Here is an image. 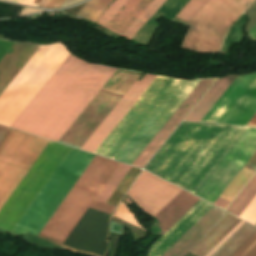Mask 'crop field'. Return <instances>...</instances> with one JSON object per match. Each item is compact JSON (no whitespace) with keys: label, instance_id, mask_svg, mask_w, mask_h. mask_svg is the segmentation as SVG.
I'll list each match as a JSON object with an SVG mask.
<instances>
[{"label":"crop field","instance_id":"8a807250","mask_svg":"<svg viewBox=\"0 0 256 256\" xmlns=\"http://www.w3.org/2000/svg\"><path fill=\"white\" fill-rule=\"evenodd\" d=\"M70 56L61 44L41 46L1 94L0 124L12 127ZM72 56L13 128L57 141L116 70Z\"/></svg>","mask_w":256,"mask_h":256},{"label":"crop field","instance_id":"ac0d7876","mask_svg":"<svg viewBox=\"0 0 256 256\" xmlns=\"http://www.w3.org/2000/svg\"><path fill=\"white\" fill-rule=\"evenodd\" d=\"M93 158L71 148L12 232L38 236ZM118 165L95 156L39 237L61 246Z\"/></svg>","mask_w":256,"mask_h":256},{"label":"crop field","instance_id":"34b2d1b8","mask_svg":"<svg viewBox=\"0 0 256 256\" xmlns=\"http://www.w3.org/2000/svg\"><path fill=\"white\" fill-rule=\"evenodd\" d=\"M48 143L13 129L5 137L0 144V210ZM69 150L50 141L0 211L1 228L11 231Z\"/></svg>","mask_w":256,"mask_h":256},{"label":"crop field","instance_id":"412701ff","mask_svg":"<svg viewBox=\"0 0 256 256\" xmlns=\"http://www.w3.org/2000/svg\"><path fill=\"white\" fill-rule=\"evenodd\" d=\"M246 129L182 122L145 169L194 194Z\"/></svg>","mask_w":256,"mask_h":256},{"label":"crop field","instance_id":"f4fd0767","mask_svg":"<svg viewBox=\"0 0 256 256\" xmlns=\"http://www.w3.org/2000/svg\"><path fill=\"white\" fill-rule=\"evenodd\" d=\"M181 189L145 172L128 190L129 195L148 214L156 216ZM199 198L181 191L155 218L164 234Z\"/></svg>","mask_w":256,"mask_h":256},{"label":"crop field","instance_id":"dd49c442","mask_svg":"<svg viewBox=\"0 0 256 256\" xmlns=\"http://www.w3.org/2000/svg\"><path fill=\"white\" fill-rule=\"evenodd\" d=\"M248 1L208 0L187 24L190 26V29L183 41L182 47L201 53H209L217 34ZM252 1L250 0L218 34L210 53H217L219 51L227 29Z\"/></svg>","mask_w":256,"mask_h":256},{"label":"crop field","instance_id":"e52e79f7","mask_svg":"<svg viewBox=\"0 0 256 256\" xmlns=\"http://www.w3.org/2000/svg\"><path fill=\"white\" fill-rule=\"evenodd\" d=\"M140 74L118 70L58 142L80 148Z\"/></svg>","mask_w":256,"mask_h":256},{"label":"crop field","instance_id":"d8731c3e","mask_svg":"<svg viewBox=\"0 0 256 256\" xmlns=\"http://www.w3.org/2000/svg\"><path fill=\"white\" fill-rule=\"evenodd\" d=\"M177 82L157 76L94 154L114 159Z\"/></svg>","mask_w":256,"mask_h":256},{"label":"crop field","instance_id":"5a996713","mask_svg":"<svg viewBox=\"0 0 256 256\" xmlns=\"http://www.w3.org/2000/svg\"><path fill=\"white\" fill-rule=\"evenodd\" d=\"M256 152V129L248 128L194 195L214 201Z\"/></svg>","mask_w":256,"mask_h":256},{"label":"crop field","instance_id":"3316defc","mask_svg":"<svg viewBox=\"0 0 256 256\" xmlns=\"http://www.w3.org/2000/svg\"><path fill=\"white\" fill-rule=\"evenodd\" d=\"M199 81L200 80L186 82L180 80L132 137V139L127 143V145L122 149V151L117 155L115 160L131 164Z\"/></svg>","mask_w":256,"mask_h":256},{"label":"crop field","instance_id":"28ad6ade","mask_svg":"<svg viewBox=\"0 0 256 256\" xmlns=\"http://www.w3.org/2000/svg\"><path fill=\"white\" fill-rule=\"evenodd\" d=\"M166 0H115L96 23L131 39Z\"/></svg>","mask_w":256,"mask_h":256},{"label":"crop field","instance_id":"d1516ede","mask_svg":"<svg viewBox=\"0 0 256 256\" xmlns=\"http://www.w3.org/2000/svg\"><path fill=\"white\" fill-rule=\"evenodd\" d=\"M110 214L88 208L63 245L78 251L105 256Z\"/></svg>","mask_w":256,"mask_h":256},{"label":"crop field","instance_id":"22f410ed","mask_svg":"<svg viewBox=\"0 0 256 256\" xmlns=\"http://www.w3.org/2000/svg\"><path fill=\"white\" fill-rule=\"evenodd\" d=\"M155 77L156 76L154 75L146 74L139 83L135 82L103 122L98 126V128L93 132V134L88 138V140L83 144L81 149L93 153Z\"/></svg>","mask_w":256,"mask_h":256},{"label":"crop field","instance_id":"cbeb9de0","mask_svg":"<svg viewBox=\"0 0 256 256\" xmlns=\"http://www.w3.org/2000/svg\"><path fill=\"white\" fill-rule=\"evenodd\" d=\"M215 80H201L132 165L142 168Z\"/></svg>","mask_w":256,"mask_h":256},{"label":"crop field","instance_id":"5142ce71","mask_svg":"<svg viewBox=\"0 0 256 256\" xmlns=\"http://www.w3.org/2000/svg\"><path fill=\"white\" fill-rule=\"evenodd\" d=\"M15 42L0 40V60ZM40 46L16 42L0 61V94L38 50Z\"/></svg>","mask_w":256,"mask_h":256},{"label":"crop field","instance_id":"d9b57169","mask_svg":"<svg viewBox=\"0 0 256 256\" xmlns=\"http://www.w3.org/2000/svg\"><path fill=\"white\" fill-rule=\"evenodd\" d=\"M227 214L213 206L162 256H185Z\"/></svg>","mask_w":256,"mask_h":256},{"label":"crop field","instance_id":"733c2abd","mask_svg":"<svg viewBox=\"0 0 256 256\" xmlns=\"http://www.w3.org/2000/svg\"><path fill=\"white\" fill-rule=\"evenodd\" d=\"M213 205L199 200L182 218H180L151 247L149 256H161L167 251L197 220H199Z\"/></svg>","mask_w":256,"mask_h":256},{"label":"crop field","instance_id":"4a817a6b","mask_svg":"<svg viewBox=\"0 0 256 256\" xmlns=\"http://www.w3.org/2000/svg\"><path fill=\"white\" fill-rule=\"evenodd\" d=\"M256 76V75H255ZM251 82V81H250ZM256 113V77L217 123L246 125Z\"/></svg>","mask_w":256,"mask_h":256},{"label":"crop field","instance_id":"bc2a9ffb","mask_svg":"<svg viewBox=\"0 0 256 256\" xmlns=\"http://www.w3.org/2000/svg\"><path fill=\"white\" fill-rule=\"evenodd\" d=\"M236 77L218 79L185 120L200 121Z\"/></svg>","mask_w":256,"mask_h":256},{"label":"crop field","instance_id":"214f88e0","mask_svg":"<svg viewBox=\"0 0 256 256\" xmlns=\"http://www.w3.org/2000/svg\"><path fill=\"white\" fill-rule=\"evenodd\" d=\"M240 219L228 214L212 229L190 252L204 256L219 240H221Z\"/></svg>","mask_w":256,"mask_h":256},{"label":"crop field","instance_id":"92a150f3","mask_svg":"<svg viewBox=\"0 0 256 256\" xmlns=\"http://www.w3.org/2000/svg\"><path fill=\"white\" fill-rule=\"evenodd\" d=\"M256 231V227L244 223L214 254L211 256H229L232 254L248 237Z\"/></svg>","mask_w":256,"mask_h":256},{"label":"crop field","instance_id":"dafd665d","mask_svg":"<svg viewBox=\"0 0 256 256\" xmlns=\"http://www.w3.org/2000/svg\"><path fill=\"white\" fill-rule=\"evenodd\" d=\"M256 196V174L251 178L247 185L237 195L233 202L228 206L226 211L236 215H239L249 205V203Z\"/></svg>","mask_w":256,"mask_h":256},{"label":"crop field","instance_id":"00972430","mask_svg":"<svg viewBox=\"0 0 256 256\" xmlns=\"http://www.w3.org/2000/svg\"><path fill=\"white\" fill-rule=\"evenodd\" d=\"M255 75L256 73L245 75L244 78L239 82V84L234 88V90L229 94V96L224 100V102L219 106V108L214 112V114L209 118L207 122L216 123L218 119L223 115V113L234 102V100L245 89V87L250 83V81L255 77Z\"/></svg>","mask_w":256,"mask_h":256},{"label":"crop field","instance_id":"a9b5d70f","mask_svg":"<svg viewBox=\"0 0 256 256\" xmlns=\"http://www.w3.org/2000/svg\"><path fill=\"white\" fill-rule=\"evenodd\" d=\"M255 171L243 168L239 174L234 178L230 185L221 194L220 198L225 199L229 202L238 194V192L243 188V186L248 182V180L253 176Z\"/></svg>","mask_w":256,"mask_h":256},{"label":"crop field","instance_id":"4177f3b9","mask_svg":"<svg viewBox=\"0 0 256 256\" xmlns=\"http://www.w3.org/2000/svg\"><path fill=\"white\" fill-rule=\"evenodd\" d=\"M128 169L129 166L120 163V165L110 177L99 195L96 197V200L106 203V201L108 200V198L110 197L116 186L119 184Z\"/></svg>","mask_w":256,"mask_h":256},{"label":"crop field","instance_id":"730fd06b","mask_svg":"<svg viewBox=\"0 0 256 256\" xmlns=\"http://www.w3.org/2000/svg\"><path fill=\"white\" fill-rule=\"evenodd\" d=\"M113 0H90L78 11L77 16L96 21Z\"/></svg>","mask_w":256,"mask_h":256},{"label":"crop field","instance_id":"eef30255","mask_svg":"<svg viewBox=\"0 0 256 256\" xmlns=\"http://www.w3.org/2000/svg\"><path fill=\"white\" fill-rule=\"evenodd\" d=\"M136 168V167H135ZM130 167L120 184L117 186L109 200L107 201V204L115 205L117 206L119 200L124 195V193L127 191L129 186L132 184L134 179L137 177V175L140 173L141 170L135 169Z\"/></svg>","mask_w":256,"mask_h":256},{"label":"crop field","instance_id":"ae1a2a85","mask_svg":"<svg viewBox=\"0 0 256 256\" xmlns=\"http://www.w3.org/2000/svg\"><path fill=\"white\" fill-rule=\"evenodd\" d=\"M207 0H190L176 15V17L189 21ZM174 17V20L187 23V21Z\"/></svg>","mask_w":256,"mask_h":256},{"label":"crop field","instance_id":"d3111659","mask_svg":"<svg viewBox=\"0 0 256 256\" xmlns=\"http://www.w3.org/2000/svg\"><path fill=\"white\" fill-rule=\"evenodd\" d=\"M231 256H256V232Z\"/></svg>","mask_w":256,"mask_h":256},{"label":"crop field","instance_id":"750c4746","mask_svg":"<svg viewBox=\"0 0 256 256\" xmlns=\"http://www.w3.org/2000/svg\"><path fill=\"white\" fill-rule=\"evenodd\" d=\"M113 216V215H112ZM114 217L126 220L132 224H134L135 226L141 228V226L137 223L135 217L133 216V214L129 211V209L126 207L125 204L121 203L119 204Z\"/></svg>","mask_w":256,"mask_h":256},{"label":"crop field","instance_id":"bd1437ed","mask_svg":"<svg viewBox=\"0 0 256 256\" xmlns=\"http://www.w3.org/2000/svg\"><path fill=\"white\" fill-rule=\"evenodd\" d=\"M244 75L238 76L236 80L231 84V86L225 91V93L220 97V99L214 104V106L208 111V113L203 117L201 121L206 122L207 119L212 115V113L217 109V107L222 103V101L227 97V95L232 91V89L237 85V83L242 79Z\"/></svg>","mask_w":256,"mask_h":256},{"label":"crop field","instance_id":"1d83c4d3","mask_svg":"<svg viewBox=\"0 0 256 256\" xmlns=\"http://www.w3.org/2000/svg\"><path fill=\"white\" fill-rule=\"evenodd\" d=\"M240 218L254 225L256 224V197L250 203V205L245 209V211L241 214Z\"/></svg>","mask_w":256,"mask_h":256},{"label":"crop field","instance_id":"120bbe31","mask_svg":"<svg viewBox=\"0 0 256 256\" xmlns=\"http://www.w3.org/2000/svg\"><path fill=\"white\" fill-rule=\"evenodd\" d=\"M246 15L250 17V23L248 25L247 31H249L256 25V0L252 5L245 11Z\"/></svg>","mask_w":256,"mask_h":256},{"label":"crop field","instance_id":"d32e631a","mask_svg":"<svg viewBox=\"0 0 256 256\" xmlns=\"http://www.w3.org/2000/svg\"><path fill=\"white\" fill-rule=\"evenodd\" d=\"M90 208L97 209V210L112 214L113 210L115 209V206H111V205H107L104 203L94 201L92 203V205L90 206Z\"/></svg>","mask_w":256,"mask_h":256},{"label":"crop field","instance_id":"5866460e","mask_svg":"<svg viewBox=\"0 0 256 256\" xmlns=\"http://www.w3.org/2000/svg\"><path fill=\"white\" fill-rule=\"evenodd\" d=\"M243 223L244 221L241 220L206 256L214 253Z\"/></svg>","mask_w":256,"mask_h":256},{"label":"crop field","instance_id":"028f5c9d","mask_svg":"<svg viewBox=\"0 0 256 256\" xmlns=\"http://www.w3.org/2000/svg\"><path fill=\"white\" fill-rule=\"evenodd\" d=\"M64 0H45L40 7L42 8H59Z\"/></svg>","mask_w":256,"mask_h":256},{"label":"crop field","instance_id":"e1f06a70","mask_svg":"<svg viewBox=\"0 0 256 256\" xmlns=\"http://www.w3.org/2000/svg\"><path fill=\"white\" fill-rule=\"evenodd\" d=\"M5 1L18 2V3L32 5L36 7H39L40 4L43 2V0H5Z\"/></svg>","mask_w":256,"mask_h":256},{"label":"crop field","instance_id":"0bd39190","mask_svg":"<svg viewBox=\"0 0 256 256\" xmlns=\"http://www.w3.org/2000/svg\"><path fill=\"white\" fill-rule=\"evenodd\" d=\"M245 167L253 169L256 171V153L254 156L249 160V162L245 165Z\"/></svg>","mask_w":256,"mask_h":256},{"label":"crop field","instance_id":"b80d0937","mask_svg":"<svg viewBox=\"0 0 256 256\" xmlns=\"http://www.w3.org/2000/svg\"><path fill=\"white\" fill-rule=\"evenodd\" d=\"M228 204H229V202L224 201V200H222V199H220V198H218V199L216 200V202L214 203V205H216V206H218V207H220V208H222V209H225Z\"/></svg>","mask_w":256,"mask_h":256},{"label":"crop field","instance_id":"c035e120","mask_svg":"<svg viewBox=\"0 0 256 256\" xmlns=\"http://www.w3.org/2000/svg\"><path fill=\"white\" fill-rule=\"evenodd\" d=\"M10 131V128L0 126V143L4 139V137L7 135V133Z\"/></svg>","mask_w":256,"mask_h":256},{"label":"crop field","instance_id":"c21b1889","mask_svg":"<svg viewBox=\"0 0 256 256\" xmlns=\"http://www.w3.org/2000/svg\"><path fill=\"white\" fill-rule=\"evenodd\" d=\"M249 35H250L251 39H256V26L252 29V31L249 33Z\"/></svg>","mask_w":256,"mask_h":256},{"label":"crop field","instance_id":"03da06ac","mask_svg":"<svg viewBox=\"0 0 256 256\" xmlns=\"http://www.w3.org/2000/svg\"><path fill=\"white\" fill-rule=\"evenodd\" d=\"M247 125L256 126V114H255L254 117L249 121V123H248Z\"/></svg>","mask_w":256,"mask_h":256}]
</instances>
